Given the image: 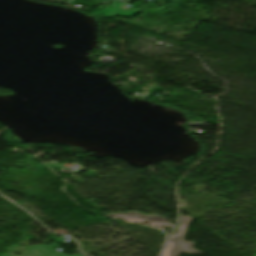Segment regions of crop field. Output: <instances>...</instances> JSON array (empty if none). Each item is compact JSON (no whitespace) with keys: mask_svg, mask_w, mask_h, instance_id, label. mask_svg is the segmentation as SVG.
I'll return each mask as SVG.
<instances>
[{"mask_svg":"<svg viewBox=\"0 0 256 256\" xmlns=\"http://www.w3.org/2000/svg\"><path fill=\"white\" fill-rule=\"evenodd\" d=\"M182 223L180 224L179 230L176 235L172 236L168 243L167 248L164 250L162 256H179L182 252L189 254H201L202 252L194 249L192 246L194 242H186L183 240L189 222L193 219L192 217L181 216Z\"/></svg>","mask_w":256,"mask_h":256,"instance_id":"crop-field-1","label":"crop field"},{"mask_svg":"<svg viewBox=\"0 0 256 256\" xmlns=\"http://www.w3.org/2000/svg\"><path fill=\"white\" fill-rule=\"evenodd\" d=\"M109 217H114L118 219H123L127 221L139 222L151 226L156 227H172L173 225L168 223V219L164 216H145L140 212H126V213H117V214H109Z\"/></svg>","mask_w":256,"mask_h":256,"instance_id":"crop-field-2","label":"crop field"}]
</instances>
